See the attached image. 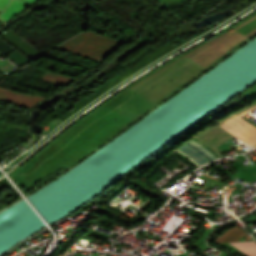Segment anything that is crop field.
Here are the masks:
<instances>
[{
    "label": "crop field",
    "mask_w": 256,
    "mask_h": 256,
    "mask_svg": "<svg viewBox=\"0 0 256 256\" xmlns=\"http://www.w3.org/2000/svg\"><path fill=\"white\" fill-rule=\"evenodd\" d=\"M256 105V103L243 108L234 114L228 116L226 119L220 121L218 125L210 127L205 131L201 132L186 144L181 146L176 151L185 155L191 161H193L198 166L207 163L213 159L221 157L219 153L218 146L226 141L227 139L235 136L238 139L244 141L245 143L253 146L256 143V128L243 120L241 117L250 112L255 107L233 117L234 115ZM233 117L232 119H230ZM229 121L225 122L226 120ZM225 122V123H223ZM223 123V124H222ZM222 124V125H221ZM221 125V126H220ZM222 128H220V127Z\"/></svg>",
    "instance_id": "1"
},
{
    "label": "crop field",
    "mask_w": 256,
    "mask_h": 256,
    "mask_svg": "<svg viewBox=\"0 0 256 256\" xmlns=\"http://www.w3.org/2000/svg\"><path fill=\"white\" fill-rule=\"evenodd\" d=\"M244 235H246V233L235 225L224 230V232L216 238L215 243L237 242L238 239Z\"/></svg>",
    "instance_id": "2"
},
{
    "label": "crop field",
    "mask_w": 256,
    "mask_h": 256,
    "mask_svg": "<svg viewBox=\"0 0 256 256\" xmlns=\"http://www.w3.org/2000/svg\"><path fill=\"white\" fill-rule=\"evenodd\" d=\"M229 244L249 256H256V242L255 241L241 242V243H229Z\"/></svg>",
    "instance_id": "3"
}]
</instances>
